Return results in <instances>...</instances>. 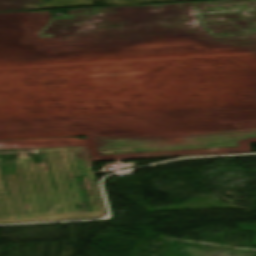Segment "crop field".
<instances>
[{"instance_id":"2","label":"crop field","mask_w":256,"mask_h":256,"mask_svg":"<svg viewBox=\"0 0 256 256\" xmlns=\"http://www.w3.org/2000/svg\"><path fill=\"white\" fill-rule=\"evenodd\" d=\"M65 146H80V145L43 141V140L0 142V150L50 148V147H65Z\"/></svg>"},{"instance_id":"1","label":"crop field","mask_w":256,"mask_h":256,"mask_svg":"<svg viewBox=\"0 0 256 256\" xmlns=\"http://www.w3.org/2000/svg\"><path fill=\"white\" fill-rule=\"evenodd\" d=\"M31 151L33 156L19 158L36 215L33 213L19 161H0L14 214L12 217L0 172V223L93 218L104 215L97 183L88 173L90 157L87 147ZM59 151L63 153L72 189L69 187ZM56 162H58L59 170ZM49 168L52 170L61 203L58 201ZM78 176L83 178L92 212L83 213L76 210L74 202L77 205H82L74 179ZM35 191L38 193L43 215L40 213ZM43 197L46 199L49 212L46 210Z\"/></svg>"}]
</instances>
